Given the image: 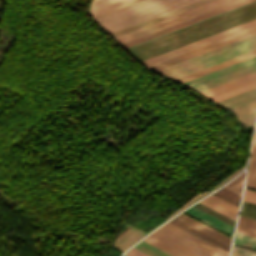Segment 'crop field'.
Instances as JSON below:
<instances>
[{
  "mask_svg": "<svg viewBox=\"0 0 256 256\" xmlns=\"http://www.w3.org/2000/svg\"><path fill=\"white\" fill-rule=\"evenodd\" d=\"M255 18L256 2L191 25L186 27V29L198 40ZM186 29L183 28L152 41L130 48L127 51L137 60L141 61L195 41L196 39Z\"/></svg>",
  "mask_w": 256,
  "mask_h": 256,
  "instance_id": "1",
  "label": "crop field"
},
{
  "mask_svg": "<svg viewBox=\"0 0 256 256\" xmlns=\"http://www.w3.org/2000/svg\"><path fill=\"white\" fill-rule=\"evenodd\" d=\"M143 240L175 256H228V252L168 222Z\"/></svg>",
  "mask_w": 256,
  "mask_h": 256,
  "instance_id": "2",
  "label": "crop field"
},
{
  "mask_svg": "<svg viewBox=\"0 0 256 256\" xmlns=\"http://www.w3.org/2000/svg\"><path fill=\"white\" fill-rule=\"evenodd\" d=\"M253 72H256V56L208 73L206 75L200 76L198 78L192 79L190 81L184 82L182 84L200 92ZM255 80L256 73H253L200 93L205 97L209 98Z\"/></svg>",
  "mask_w": 256,
  "mask_h": 256,
  "instance_id": "3",
  "label": "crop field"
},
{
  "mask_svg": "<svg viewBox=\"0 0 256 256\" xmlns=\"http://www.w3.org/2000/svg\"><path fill=\"white\" fill-rule=\"evenodd\" d=\"M198 0H147L118 12L96 19L108 34Z\"/></svg>",
  "mask_w": 256,
  "mask_h": 256,
  "instance_id": "4",
  "label": "crop field"
},
{
  "mask_svg": "<svg viewBox=\"0 0 256 256\" xmlns=\"http://www.w3.org/2000/svg\"><path fill=\"white\" fill-rule=\"evenodd\" d=\"M255 49L256 35H253L155 72L175 80Z\"/></svg>",
  "mask_w": 256,
  "mask_h": 256,
  "instance_id": "5",
  "label": "crop field"
},
{
  "mask_svg": "<svg viewBox=\"0 0 256 256\" xmlns=\"http://www.w3.org/2000/svg\"><path fill=\"white\" fill-rule=\"evenodd\" d=\"M237 0H215L213 2L204 4L202 6L196 7L194 9L185 11L183 13L177 14L175 16L166 18L164 20L158 21L156 23L147 25L145 27L139 28L137 30L128 32L126 34L115 37L119 44L124 43L126 41L132 40L134 38L140 37L142 35L148 34L150 32L159 30L161 28L167 27L169 25L175 24L177 22L183 21L185 19L194 17L196 15L202 14L204 12L210 11L212 9L218 8L220 6L226 5L228 3L234 2Z\"/></svg>",
  "mask_w": 256,
  "mask_h": 256,
  "instance_id": "6",
  "label": "crop field"
},
{
  "mask_svg": "<svg viewBox=\"0 0 256 256\" xmlns=\"http://www.w3.org/2000/svg\"><path fill=\"white\" fill-rule=\"evenodd\" d=\"M254 27H256V19H255V20H252V21H250V22L244 23V24H242V25L236 26V27H234V28L228 29V30H226V31L220 32V33H218V34L212 35V36H210V37L204 38V39H202V40L193 42V43H191V44L182 46V47H180V48L171 50V51H169V52H166V53L157 55V56L152 57V58H149V59H146V60H144V61H141L140 63H142L143 65H145L146 67H148V66H151V65H153V64H156V63H159V62H161V61L170 59V58H172V57H175V56H178V55H180V54L189 52V51H191V50H194V49H197V48H199V47L208 45V44H210V43L219 41V40H221V39L227 38V37H229V36L238 34V33H240V32L246 31V30L251 29V28H254Z\"/></svg>",
  "mask_w": 256,
  "mask_h": 256,
  "instance_id": "7",
  "label": "crop field"
},
{
  "mask_svg": "<svg viewBox=\"0 0 256 256\" xmlns=\"http://www.w3.org/2000/svg\"><path fill=\"white\" fill-rule=\"evenodd\" d=\"M226 251H229L230 238L206 227L205 225L183 215L179 214L168 221Z\"/></svg>",
  "mask_w": 256,
  "mask_h": 256,
  "instance_id": "8",
  "label": "crop field"
},
{
  "mask_svg": "<svg viewBox=\"0 0 256 256\" xmlns=\"http://www.w3.org/2000/svg\"><path fill=\"white\" fill-rule=\"evenodd\" d=\"M253 34H256V28L251 29V30H248V31L243 32V33H240V34H238V35L229 37V38H227V39L221 40V41H219V42L210 44V45H208V46L199 48V49L194 50V51H191V52H189V53L180 55V56L175 57V58H172V59H170V60L161 62V63H159V64L153 65V66L148 67V68H150V69H152V70L155 71V70H158V69H160V68H163V67H166V66H168V65L177 63V62H179V61L188 59V58H190V57H193V56H196V55H198V54L207 52V51H209V50L215 49V48H217V47L226 45V44H228V43L234 42V41H236V40L245 38V37L250 36V35H253Z\"/></svg>",
  "mask_w": 256,
  "mask_h": 256,
  "instance_id": "9",
  "label": "crop field"
},
{
  "mask_svg": "<svg viewBox=\"0 0 256 256\" xmlns=\"http://www.w3.org/2000/svg\"><path fill=\"white\" fill-rule=\"evenodd\" d=\"M227 109L231 110L235 114L242 126L252 128L256 110V98Z\"/></svg>",
  "mask_w": 256,
  "mask_h": 256,
  "instance_id": "10",
  "label": "crop field"
},
{
  "mask_svg": "<svg viewBox=\"0 0 256 256\" xmlns=\"http://www.w3.org/2000/svg\"><path fill=\"white\" fill-rule=\"evenodd\" d=\"M199 203L235 220L236 219V213H237V207L211 195L204 200L200 201Z\"/></svg>",
  "mask_w": 256,
  "mask_h": 256,
  "instance_id": "11",
  "label": "crop field"
},
{
  "mask_svg": "<svg viewBox=\"0 0 256 256\" xmlns=\"http://www.w3.org/2000/svg\"><path fill=\"white\" fill-rule=\"evenodd\" d=\"M183 212H185V213H187V214H189V215H191V216H193V217H195V218H197V219H199V220H201V221H203V222H205V223H207V224H209V225H211L229 235H232L234 227H232V226H230V225H228V224H226V223H224V222H222V221H220V220H218V219H216V218H214V217H212V216H210L192 206Z\"/></svg>",
  "mask_w": 256,
  "mask_h": 256,
  "instance_id": "12",
  "label": "crop field"
},
{
  "mask_svg": "<svg viewBox=\"0 0 256 256\" xmlns=\"http://www.w3.org/2000/svg\"><path fill=\"white\" fill-rule=\"evenodd\" d=\"M210 1H213V0H201V1L195 2V3H193V4L187 5V6H185V7L179 8V9H177V10L171 11V12H169V13L163 14V15H161V16L155 17V18H153V19L147 20V21H145V22L139 23V24H137V25L131 26V27H129V28L123 29V30H121V31L115 32V33L110 34V35L113 36V37L118 36V35H120V34H123V33H126V32H128V31L137 29V28H139V27H142V26H145V25H147V24L156 22V21H158V20H161V19H164V18H166V17L175 15V14H177V13L183 12V11H185V10L194 8V7H196V6L202 5V4L207 3V2H210Z\"/></svg>",
  "mask_w": 256,
  "mask_h": 256,
  "instance_id": "13",
  "label": "crop field"
},
{
  "mask_svg": "<svg viewBox=\"0 0 256 256\" xmlns=\"http://www.w3.org/2000/svg\"><path fill=\"white\" fill-rule=\"evenodd\" d=\"M145 233H142L134 228L128 229L125 233H123L119 238L116 239L114 243V248L124 251L133 243H135L138 239H140Z\"/></svg>",
  "mask_w": 256,
  "mask_h": 256,
  "instance_id": "14",
  "label": "crop field"
},
{
  "mask_svg": "<svg viewBox=\"0 0 256 256\" xmlns=\"http://www.w3.org/2000/svg\"><path fill=\"white\" fill-rule=\"evenodd\" d=\"M254 55H256V50H255V51H252V52H249V53H247V54L241 55V56H239V57L233 58V59H231V60L225 61V62H223V63L217 64V65H215V66L209 67V68H207V69L201 70V71H199V72L193 73V74H191V75L185 76V77H183V78L177 79V80H175V81L182 83V82H184V81L190 80V79H192V78L198 77V76H200V75L206 74V73H208V72L214 71V70H216V69L222 68V67H224V66L230 65V64H232V63L238 62V61H240V60L246 59V58L251 57V56H254Z\"/></svg>",
  "mask_w": 256,
  "mask_h": 256,
  "instance_id": "15",
  "label": "crop field"
},
{
  "mask_svg": "<svg viewBox=\"0 0 256 256\" xmlns=\"http://www.w3.org/2000/svg\"><path fill=\"white\" fill-rule=\"evenodd\" d=\"M131 1L133 0H93L90 5V15H96Z\"/></svg>",
  "mask_w": 256,
  "mask_h": 256,
  "instance_id": "16",
  "label": "crop field"
},
{
  "mask_svg": "<svg viewBox=\"0 0 256 256\" xmlns=\"http://www.w3.org/2000/svg\"><path fill=\"white\" fill-rule=\"evenodd\" d=\"M246 187L256 189V133L251 152L250 165L247 174Z\"/></svg>",
  "mask_w": 256,
  "mask_h": 256,
  "instance_id": "17",
  "label": "crop field"
},
{
  "mask_svg": "<svg viewBox=\"0 0 256 256\" xmlns=\"http://www.w3.org/2000/svg\"><path fill=\"white\" fill-rule=\"evenodd\" d=\"M236 232L256 237V220L240 216Z\"/></svg>",
  "mask_w": 256,
  "mask_h": 256,
  "instance_id": "18",
  "label": "crop field"
},
{
  "mask_svg": "<svg viewBox=\"0 0 256 256\" xmlns=\"http://www.w3.org/2000/svg\"><path fill=\"white\" fill-rule=\"evenodd\" d=\"M256 96V88L216 102L224 108Z\"/></svg>",
  "mask_w": 256,
  "mask_h": 256,
  "instance_id": "19",
  "label": "crop field"
},
{
  "mask_svg": "<svg viewBox=\"0 0 256 256\" xmlns=\"http://www.w3.org/2000/svg\"><path fill=\"white\" fill-rule=\"evenodd\" d=\"M134 247L151 256H173L143 240L139 242L137 245H135Z\"/></svg>",
  "mask_w": 256,
  "mask_h": 256,
  "instance_id": "20",
  "label": "crop field"
},
{
  "mask_svg": "<svg viewBox=\"0 0 256 256\" xmlns=\"http://www.w3.org/2000/svg\"><path fill=\"white\" fill-rule=\"evenodd\" d=\"M254 87H256V81H255V82H252V83H249V84H247V85L241 86V87H239V88L230 90V91H228V92L222 93V94H220V95L214 96V97L209 98V99L212 100V101H214V102H216V101H219V100H221V99L227 98V97H229V96L235 95V94H237V93L246 91V90L251 89V88H254Z\"/></svg>",
  "mask_w": 256,
  "mask_h": 256,
  "instance_id": "21",
  "label": "crop field"
},
{
  "mask_svg": "<svg viewBox=\"0 0 256 256\" xmlns=\"http://www.w3.org/2000/svg\"><path fill=\"white\" fill-rule=\"evenodd\" d=\"M213 195H215V196H217V197H219L237 207L239 205L240 196H238L224 188L216 191Z\"/></svg>",
  "mask_w": 256,
  "mask_h": 256,
  "instance_id": "22",
  "label": "crop field"
},
{
  "mask_svg": "<svg viewBox=\"0 0 256 256\" xmlns=\"http://www.w3.org/2000/svg\"><path fill=\"white\" fill-rule=\"evenodd\" d=\"M243 177H244V172H242L239 176H237L233 181L228 183L224 188L240 195L241 193V187L243 183Z\"/></svg>",
  "mask_w": 256,
  "mask_h": 256,
  "instance_id": "23",
  "label": "crop field"
},
{
  "mask_svg": "<svg viewBox=\"0 0 256 256\" xmlns=\"http://www.w3.org/2000/svg\"><path fill=\"white\" fill-rule=\"evenodd\" d=\"M236 244H240V245H244V246H248V247H255L256 246V238L253 237H249V236H245V235H241V234H237L235 235V239L234 242Z\"/></svg>",
  "mask_w": 256,
  "mask_h": 256,
  "instance_id": "24",
  "label": "crop field"
},
{
  "mask_svg": "<svg viewBox=\"0 0 256 256\" xmlns=\"http://www.w3.org/2000/svg\"><path fill=\"white\" fill-rule=\"evenodd\" d=\"M193 206L202 210V211H204V212H206V213H208V214H210V215H212V216H214V217H216V218H218V219H220V220H222V221H224V222H226V223H228V224H230V225H232V226H234V224H235L234 221H232V220H230V219H228V218H226V217H224V216H222V215H220V214H218V213H216V212H214V211H212V210H210V209H208V208H206V207H204V206H202L198 203L194 204Z\"/></svg>",
  "mask_w": 256,
  "mask_h": 256,
  "instance_id": "25",
  "label": "crop field"
},
{
  "mask_svg": "<svg viewBox=\"0 0 256 256\" xmlns=\"http://www.w3.org/2000/svg\"><path fill=\"white\" fill-rule=\"evenodd\" d=\"M240 215L256 219V205L245 202Z\"/></svg>",
  "mask_w": 256,
  "mask_h": 256,
  "instance_id": "26",
  "label": "crop field"
},
{
  "mask_svg": "<svg viewBox=\"0 0 256 256\" xmlns=\"http://www.w3.org/2000/svg\"><path fill=\"white\" fill-rule=\"evenodd\" d=\"M232 256H256V252L233 246Z\"/></svg>",
  "mask_w": 256,
  "mask_h": 256,
  "instance_id": "27",
  "label": "crop field"
},
{
  "mask_svg": "<svg viewBox=\"0 0 256 256\" xmlns=\"http://www.w3.org/2000/svg\"><path fill=\"white\" fill-rule=\"evenodd\" d=\"M142 1H145V0H136V1H133V2L128 3V4H125V5H123V6H120V7L114 8V9H112V10L106 11V12H104V13L98 14V15H96V16H93V19L99 18V17H101V16L107 15V14L112 13V12H115V11H118V10H120V9L126 8V7L131 6V5H134V4H137V3L142 2Z\"/></svg>",
  "mask_w": 256,
  "mask_h": 256,
  "instance_id": "28",
  "label": "crop field"
},
{
  "mask_svg": "<svg viewBox=\"0 0 256 256\" xmlns=\"http://www.w3.org/2000/svg\"><path fill=\"white\" fill-rule=\"evenodd\" d=\"M243 200L256 204V192L245 189Z\"/></svg>",
  "mask_w": 256,
  "mask_h": 256,
  "instance_id": "29",
  "label": "crop field"
},
{
  "mask_svg": "<svg viewBox=\"0 0 256 256\" xmlns=\"http://www.w3.org/2000/svg\"><path fill=\"white\" fill-rule=\"evenodd\" d=\"M210 193V192H208ZM208 193H203V194H199L196 195L195 197H193L191 200H189L186 204H184L180 209H178L176 212H174L172 215H170L168 218H170L171 216H173L174 214L178 213L179 211H181L182 209H184L185 207L189 206L190 204H192L193 202L197 201L198 199L202 198L203 196L207 195ZM167 218V219H168Z\"/></svg>",
  "mask_w": 256,
  "mask_h": 256,
  "instance_id": "30",
  "label": "crop field"
},
{
  "mask_svg": "<svg viewBox=\"0 0 256 256\" xmlns=\"http://www.w3.org/2000/svg\"><path fill=\"white\" fill-rule=\"evenodd\" d=\"M125 254L128 255V256H149V255H147V254H145V253H143V252H141V251H139V250H137L133 247Z\"/></svg>",
  "mask_w": 256,
  "mask_h": 256,
  "instance_id": "31",
  "label": "crop field"
},
{
  "mask_svg": "<svg viewBox=\"0 0 256 256\" xmlns=\"http://www.w3.org/2000/svg\"><path fill=\"white\" fill-rule=\"evenodd\" d=\"M242 168L236 170L232 175H230L229 177H227L223 182H221L216 188H214L213 190L217 189L219 186H221L222 184H224L226 181H228L229 179H231L232 177H234L236 174H238L240 172Z\"/></svg>",
  "mask_w": 256,
  "mask_h": 256,
  "instance_id": "32",
  "label": "crop field"
},
{
  "mask_svg": "<svg viewBox=\"0 0 256 256\" xmlns=\"http://www.w3.org/2000/svg\"><path fill=\"white\" fill-rule=\"evenodd\" d=\"M254 249H256V247Z\"/></svg>",
  "mask_w": 256,
  "mask_h": 256,
  "instance_id": "33",
  "label": "crop field"
}]
</instances>
